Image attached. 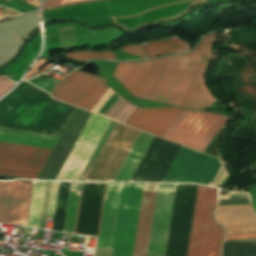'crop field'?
<instances>
[{
  "label": "crop field",
  "instance_id": "crop-field-21",
  "mask_svg": "<svg viewBox=\"0 0 256 256\" xmlns=\"http://www.w3.org/2000/svg\"><path fill=\"white\" fill-rule=\"evenodd\" d=\"M120 99H121V97L118 99V101ZM118 101L114 104V106L111 108V110L107 113L106 117H109L114 120H118L120 122L125 123L126 120L131 116V114L136 110L137 107L133 106L131 103H129L128 101L123 99L122 102L117 107V109L112 114L113 110L116 108L115 105L118 103Z\"/></svg>",
  "mask_w": 256,
  "mask_h": 256
},
{
  "label": "crop field",
  "instance_id": "crop-field-19",
  "mask_svg": "<svg viewBox=\"0 0 256 256\" xmlns=\"http://www.w3.org/2000/svg\"><path fill=\"white\" fill-rule=\"evenodd\" d=\"M148 43H151V42H148ZM144 44H147V43H144ZM143 48L147 58H149V57H158V56L173 54L177 52H182L192 47L189 46L184 41L180 40L179 38H174V39H168L160 42L147 44Z\"/></svg>",
  "mask_w": 256,
  "mask_h": 256
},
{
  "label": "crop field",
  "instance_id": "crop-field-26",
  "mask_svg": "<svg viewBox=\"0 0 256 256\" xmlns=\"http://www.w3.org/2000/svg\"><path fill=\"white\" fill-rule=\"evenodd\" d=\"M47 61L45 60H39L38 62H36L35 66L32 68V70L28 73V75L25 77V80L30 79L33 74L38 70V68L43 65L44 63H46ZM41 68V67H40ZM39 68V69H40Z\"/></svg>",
  "mask_w": 256,
  "mask_h": 256
},
{
  "label": "crop field",
  "instance_id": "crop-field-27",
  "mask_svg": "<svg viewBox=\"0 0 256 256\" xmlns=\"http://www.w3.org/2000/svg\"><path fill=\"white\" fill-rule=\"evenodd\" d=\"M256 234H253V235H242V236H232V237H227L226 240H229V239H237V238H246V237H255Z\"/></svg>",
  "mask_w": 256,
  "mask_h": 256
},
{
  "label": "crop field",
  "instance_id": "crop-field-8",
  "mask_svg": "<svg viewBox=\"0 0 256 256\" xmlns=\"http://www.w3.org/2000/svg\"><path fill=\"white\" fill-rule=\"evenodd\" d=\"M221 163L219 159L182 146L164 182H195L211 185Z\"/></svg>",
  "mask_w": 256,
  "mask_h": 256
},
{
  "label": "crop field",
  "instance_id": "crop-field-3",
  "mask_svg": "<svg viewBox=\"0 0 256 256\" xmlns=\"http://www.w3.org/2000/svg\"><path fill=\"white\" fill-rule=\"evenodd\" d=\"M216 188L199 186L188 256H219L223 228L213 220Z\"/></svg>",
  "mask_w": 256,
  "mask_h": 256
},
{
  "label": "crop field",
  "instance_id": "crop-field-23",
  "mask_svg": "<svg viewBox=\"0 0 256 256\" xmlns=\"http://www.w3.org/2000/svg\"><path fill=\"white\" fill-rule=\"evenodd\" d=\"M121 50L127 53L135 54L142 59L145 58L143 49L140 44L128 45V46L122 47Z\"/></svg>",
  "mask_w": 256,
  "mask_h": 256
},
{
  "label": "crop field",
  "instance_id": "crop-field-28",
  "mask_svg": "<svg viewBox=\"0 0 256 256\" xmlns=\"http://www.w3.org/2000/svg\"><path fill=\"white\" fill-rule=\"evenodd\" d=\"M67 121H68V119H67V120L64 122V124L57 130V132H56L54 135H56V136H59V135H60V133L62 132V130H63L65 124L67 123Z\"/></svg>",
  "mask_w": 256,
  "mask_h": 256
},
{
  "label": "crop field",
  "instance_id": "crop-field-2",
  "mask_svg": "<svg viewBox=\"0 0 256 256\" xmlns=\"http://www.w3.org/2000/svg\"><path fill=\"white\" fill-rule=\"evenodd\" d=\"M58 137L0 127V140L52 149ZM0 141V174L36 179L51 150Z\"/></svg>",
  "mask_w": 256,
  "mask_h": 256
},
{
  "label": "crop field",
  "instance_id": "crop-field-25",
  "mask_svg": "<svg viewBox=\"0 0 256 256\" xmlns=\"http://www.w3.org/2000/svg\"><path fill=\"white\" fill-rule=\"evenodd\" d=\"M14 83L6 77H0V97L13 87Z\"/></svg>",
  "mask_w": 256,
  "mask_h": 256
},
{
  "label": "crop field",
  "instance_id": "crop-field-29",
  "mask_svg": "<svg viewBox=\"0 0 256 256\" xmlns=\"http://www.w3.org/2000/svg\"><path fill=\"white\" fill-rule=\"evenodd\" d=\"M83 187V186H82ZM82 193V192H81ZM105 193V192H104ZM81 199V198H80ZM104 200V198H103ZM102 207H103V204H102ZM101 213H102V210H101ZM100 220H101V216H100ZM99 227H100V222H99ZM98 234H99V228H98ZM98 234H97V237H98Z\"/></svg>",
  "mask_w": 256,
  "mask_h": 256
},
{
  "label": "crop field",
  "instance_id": "crop-field-18",
  "mask_svg": "<svg viewBox=\"0 0 256 256\" xmlns=\"http://www.w3.org/2000/svg\"><path fill=\"white\" fill-rule=\"evenodd\" d=\"M153 138L154 135L140 131L115 181H130Z\"/></svg>",
  "mask_w": 256,
  "mask_h": 256
},
{
  "label": "crop field",
  "instance_id": "crop-field-15",
  "mask_svg": "<svg viewBox=\"0 0 256 256\" xmlns=\"http://www.w3.org/2000/svg\"><path fill=\"white\" fill-rule=\"evenodd\" d=\"M51 184L52 182H46V185H45V182L34 181L27 226L38 228L42 198H43V192H44V185H45L42 212H41L40 225H39V228L44 229ZM58 184L59 182H53L47 217H53Z\"/></svg>",
  "mask_w": 256,
  "mask_h": 256
},
{
  "label": "crop field",
  "instance_id": "crop-field-5",
  "mask_svg": "<svg viewBox=\"0 0 256 256\" xmlns=\"http://www.w3.org/2000/svg\"><path fill=\"white\" fill-rule=\"evenodd\" d=\"M142 187L122 183L111 256H132Z\"/></svg>",
  "mask_w": 256,
  "mask_h": 256
},
{
  "label": "crop field",
  "instance_id": "crop-field-12",
  "mask_svg": "<svg viewBox=\"0 0 256 256\" xmlns=\"http://www.w3.org/2000/svg\"><path fill=\"white\" fill-rule=\"evenodd\" d=\"M176 184H159L148 256H165Z\"/></svg>",
  "mask_w": 256,
  "mask_h": 256
},
{
  "label": "crop field",
  "instance_id": "crop-field-13",
  "mask_svg": "<svg viewBox=\"0 0 256 256\" xmlns=\"http://www.w3.org/2000/svg\"><path fill=\"white\" fill-rule=\"evenodd\" d=\"M182 111L176 107H138L126 124L162 137Z\"/></svg>",
  "mask_w": 256,
  "mask_h": 256
},
{
  "label": "crop field",
  "instance_id": "crop-field-22",
  "mask_svg": "<svg viewBox=\"0 0 256 256\" xmlns=\"http://www.w3.org/2000/svg\"><path fill=\"white\" fill-rule=\"evenodd\" d=\"M64 56L87 62L90 59L98 58V59H106V60H116L115 55L110 50L102 51V52H92V51H76L68 54H64Z\"/></svg>",
  "mask_w": 256,
  "mask_h": 256
},
{
  "label": "crop field",
  "instance_id": "crop-field-17",
  "mask_svg": "<svg viewBox=\"0 0 256 256\" xmlns=\"http://www.w3.org/2000/svg\"><path fill=\"white\" fill-rule=\"evenodd\" d=\"M121 183H107L99 240L96 249L111 250Z\"/></svg>",
  "mask_w": 256,
  "mask_h": 256
},
{
  "label": "crop field",
  "instance_id": "crop-field-14",
  "mask_svg": "<svg viewBox=\"0 0 256 256\" xmlns=\"http://www.w3.org/2000/svg\"><path fill=\"white\" fill-rule=\"evenodd\" d=\"M216 220L222 223L227 236L255 233L256 212L251 205L218 206Z\"/></svg>",
  "mask_w": 256,
  "mask_h": 256
},
{
  "label": "crop field",
  "instance_id": "crop-field-9",
  "mask_svg": "<svg viewBox=\"0 0 256 256\" xmlns=\"http://www.w3.org/2000/svg\"><path fill=\"white\" fill-rule=\"evenodd\" d=\"M104 82L102 77L74 71L55 86L52 96L91 111L109 87Z\"/></svg>",
  "mask_w": 256,
  "mask_h": 256
},
{
  "label": "crop field",
  "instance_id": "crop-field-10",
  "mask_svg": "<svg viewBox=\"0 0 256 256\" xmlns=\"http://www.w3.org/2000/svg\"><path fill=\"white\" fill-rule=\"evenodd\" d=\"M33 181L0 182V222L26 226Z\"/></svg>",
  "mask_w": 256,
  "mask_h": 256
},
{
  "label": "crop field",
  "instance_id": "crop-field-1",
  "mask_svg": "<svg viewBox=\"0 0 256 256\" xmlns=\"http://www.w3.org/2000/svg\"><path fill=\"white\" fill-rule=\"evenodd\" d=\"M214 33L185 54L141 62H120L114 72L134 96L191 110L209 107L216 100L204 83L211 61Z\"/></svg>",
  "mask_w": 256,
  "mask_h": 256
},
{
  "label": "crop field",
  "instance_id": "crop-field-20",
  "mask_svg": "<svg viewBox=\"0 0 256 256\" xmlns=\"http://www.w3.org/2000/svg\"><path fill=\"white\" fill-rule=\"evenodd\" d=\"M82 183L71 182L63 231L74 233Z\"/></svg>",
  "mask_w": 256,
  "mask_h": 256
},
{
  "label": "crop field",
  "instance_id": "crop-field-11",
  "mask_svg": "<svg viewBox=\"0 0 256 256\" xmlns=\"http://www.w3.org/2000/svg\"><path fill=\"white\" fill-rule=\"evenodd\" d=\"M92 114V113H91ZM90 112L77 108L71 115L54 149L44 164L37 179L55 180L72 146L86 123ZM91 116V115H90ZM86 125V124H85ZM80 136V135H79Z\"/></svg>",
  "mask_w": 256,
  "mask_h": 256
},
{
  "label": "crop field",
  "instance_id": "crop-field-24",
  "mask_svg": "<svg viewBox=\"0 0 256 256\" xmlns=\"http://www.w3.org/2000/svg\"><path fill=\"white\" fill-rule=\"evenodd\" d=\"M81 1H87V0H46L43 9L48 7L68 4V3L81 2Z\"/></svg>",
  "mask_w": 256,
  "mask_h": 256
},
{
  "label": "crop field",
  "instance_id": "crop-field-16",
  "mask_svg": "<svg viewBox=\"0 0 256 256\" xmlns=\"http://www.w3.org/2000/svg\"><path fill=\"white\" fill-rule=\"evenodd\" d=\"M158 184H145L134 256H147Z\"/></svg>",
  "mask_w": 256,
  "mask_h": 256
},
{
  "label": "crop field",
  "instance_id": "crop-field-7",
  "mask_svg": "<svg viewBox=\"0 0 256 256\" xmlns=\"http://www.w3.org/2000/svg\"><path fill=\"white\" fill-rule=\"evenodd\" d=\"M110 119L91 114L56 180H78Z\"/></svg>",
  "mask_w": 256,
  "mask_h": 256
},
{
  "label": "crop field",
  "instance_id": "crop-field-6",
  "mask_svg": "<svg viewBox=\"0 0 256 256\" xmlns=\"http://www.w3.org/2000/svg\"><path fill=\"white\" fill-rule=\"evenodd\" d=\"M138 133L117 122L86 180L113 181Z\"/></svg>",
  "mask_w": 256,
  "mask_h": 256
},
{
  "label": "crop field",
  "instance_id": "crop-field-4",
  "mask_svg": "<svg viewBox=\"0 0 256 256\" xmlns=\"http://www.w3.org/2000/svg\"><path fill=\"white\" fill-rule=\"evenodd\" d=\"M227 119L210 112L184 110L163 138L204 152Z\"/></svg>",
  "mask_w": 256,
  "mask_h": 256
}]
</instances>
